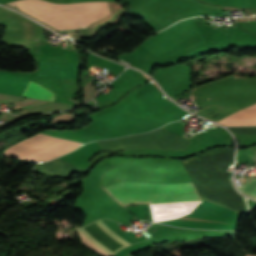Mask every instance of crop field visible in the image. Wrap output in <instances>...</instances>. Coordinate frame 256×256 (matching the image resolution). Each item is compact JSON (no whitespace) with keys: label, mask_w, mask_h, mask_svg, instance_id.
<instances>
[{"label":"crop field","mask_w":256,"mask_h":256,"mask_svg":"<svg viewBox=\"0 0 256 256\" xmlns=\"http://www.w3.org/2000/svg\"><path fill=\"white\" fill-rule=\"evenodd\" d=\"M110 195L119 191H142L155 193H174V192H191L197 191L192 182L174 183V184H150L139 182H118L103 188ZM141 192H119L112 195L121 205L144 201L149 204L170 203L183 201L203 200L198 192L192 193H174V194H155ZM202 201L183 202L170 204L150 205L151 216L154 222L176 219L184 214L191 213ZM143 203L135 202L130 204ZM127 204V205H130ZM125 206V205H124Z\"/></svg>","instance_id":"crop-field-1"},{"label":"crop field","mask_w":256,"mask_h":256,"mask_svg":"<svg viewBox=\"0 0 256 256\" xmlns=\"http://www.w3.org/2000/svg\"><path fill=\"white\" fill-rule=\"evenodd\" d=\"M100 221L103 222L105 225H107L110 229H112L114 232H116L118 235H120L123 239H125L130 244L135 243V242H139L138 239H136L135 237H133L129 233L121 230L120 227L115 222H113L111 220H105V219H102ZM78 234L82 239H84L88 244H90L92 247H94L96 250H98L104 256H109L105 252H103L101 249H99L96 245H94L92 242H90L87 238H85L83 235H81L79 232H78Z\"/></svg>","instance_id":"crop-field-6"},{"label":"crop field","mask_w":256,"mask_h":256,"mask_svg":"<svg viewBox=\"0 0 256 256\" xmlns=\"http://www.w3.org/2000/svg\"><path fill=\"white\" fill-rule=\"evenodd\" d=\"M11 106H13V107L17 108L14 104H11Z\"/></svg>","instance_id":"crop-field-7"},{"label":"crop field","mask_w":256,"mask_h":256,"mask_svg":"<svg viewBox=\"0 0 256 256\" xmlns=\"http://www.w3.org/2000/svg\"><path fill=\"white\" fill-rule=\"evenodd\" d=\"M22 97L54 101V93L32 81L28 83Z\"/></svg>","instance_id":"crop-field-5"},{"label":"crop field","mask_w":256,"mask_h":256,"mask_svg":"<svg viewBox=\"0 0 256 256\" xmlns=\"http://www.w3.org/2000/svg\"><path fill=\"white\" fill-rule=\"evenodd\" d=\"M81 144L83 143L38 133L7 148L2 155L41 163L70 152Z\"/></svg>","instance_id":"crop-field-3"},{"label":"crop field","mask_w":256,"mask_h":256,"mask_svg":"<svg viewBox=\"0 0 256 256\" xmlns=\"http://www.w3.org/2000/svg\"><path fill=\"white\" fill-rule=\"evenodd\" d=\"M246 256H253V255H249V254H247Z\"/></svg>","instance_id":"crop-field-8"},{"label":"crop field","mask_w":256,"mask_h":256,"mask_svg":"<svg viewBox=\"0 0 256 256\" xmlns=\"http://www.w3.org/2000/svg\"><path fill=\"white\" fill-rule=\"evenodd\" d=\"M219 123L228 125L256 124V104L225 117Z\"/></svg>","instance_id":"crop-field-4"},{"label":"crop field","mask_w":256,"mask_h":256,"mask_svg":"<svg viewBox=\"0 0 256 256\" xmlns=\"http://www.w3.org/2000/svg\"><path fill=\"white\" fill-rule=\"evenodd\" d=\"M9 4L58 30L88 28L111 14L108 2L52 4L44 0H18Z\"/></svg>","instance_id":"crop-field-2"}]
</instances>
